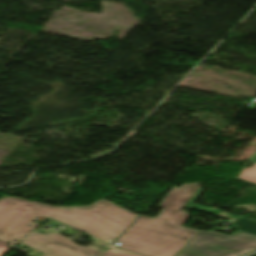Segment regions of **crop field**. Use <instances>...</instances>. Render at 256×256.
<instances>
[{
	"label": "crop field",
	"mask_w": 256,
	"mask_h": 256,
	"mask_svg": "<svg viewBox=\"0 0 256 256\" xmlns=\"http://www.w3.org/2000/svg\"><path fill=\"white\" fill-rule=\"evenodd\" d=\"M5 242V240L0 242V256L9 248Z\"/></svg>",
	"instance_id": "obj_8"
},
{
	"label": "crop field",
	"mask_w": 256,
	"mask_h": 256,
	"mask_svg": "<svg viewBox=\"0 0 256 256\" xmlns=\"http://www.w3.org/2000/svg\"><path fill=\"white\" fill-rule=\"evenodd\" d=\"M251 256H256V254H254V255H251Z\"/></svg>",
	"instance_id": "obj_9"
},
{
	"label": "crop field",
	"mask_w": 256,
	"mask_h": 256,
	"mask_svg": "<svg viewBox=\"0 0 256 256\" xmlns=\"http://www.w3.org/2000/svg\"><path fill=\"white\" fill-rule=\"evenodd\" d=\"M231 227L256 234V220L242 216Z\"/></svg>",
	"instance_id": "obj_5"
},
{
	"label": "crop field",
	"mask_w": 256,
	"mask_h": 256,
	"mask_svg": "<svg viewBox=\"0 0 256 256\" xmlns=\"http://www.w3.org/2000/svg\"><path fill=\"white\" fill-rule=\"evenodd\" d=\"M250 161L255 163L254 166L250 168L242 169L238 178L256 183V150L252 155Z\"/></svg>",
	"instance_id": "obj_6"
},
{
	"label": "crop field",
	"mask_w": 256,
	"mask_h": 256,
	"mask_svg": "<svg viewBox=\"0 0 256 256\" xmlns=\"http://www.w3.org/2000/svg\"><path fill=\"white\" fill-rule=\"evenodd\" d=\"M198 183L173 187L158 206L156 218L139 216L116 240L120 248L146 256H175L199 231L181 226L189 215L182 207L216 215L218 209L193 204L201 195Z\"/></svg>",
	"instance_id": "obj_2"
},
{
	"label": "crop field",
	"mask_w": 256,
	"mask_h": 256,
	"mask_svg": "<svg viewBox=\"0 0 256 256\" xmlns=\"http://www.w3.org/2000/svg\"><path fill=\"white\" fill-rule=\"evenodd\" d=\"M102 256H136L129 253L116 250L115 252H105Z\"/></svg>",
	"instance_id": "obj_7"
},
{
	"label": "crop field",
	"mask_w": 256,
	"mask_h": 256,
	"mask_svg": "<svg viewBox=\"0 0 256 256\" xmlns=\"http://www.w3.org/2000/svg\"><path fill=\"white\" fill-rule=\"evenodd\" d=\"M22 243L45 253L44 256H101L103 254L95 248L79 246L56 232L48 234L33 232L27 235Z\"/></svg>",
	"instance_id": "obj_4"
},
{
	"label": "crop field",
	"mask_w": 256,
	"mask_h": 256,
	"mask_svg": "<svg viewBox=\"0 0 256 256\" xmlns=\"http://www.w3.org/2000/svg\"><path fill=\"white\" fill-rule=\"evenodd\" d=\"M256 251V236L235 230L230 236L199 232L176 256H243Z\"/></svg>",
	"instance_id": "obj_3"
},
{
	"label": "crop field",
	"mask_w": 256,
	"mask_h": 256,
	"mask_svg": "<svg viewBox=\"0 0 256 256\" xmlns=\"http://www.w3.org/2000/svg\"><path fill=\"white\" fill-rule=\"evenodd\" d=\"M36 216L51 217L112 244L138 217L104 200L91 207L52 208L24 200L0 199V238L21 239L34 230Z\"/></svg>",
	"instance_id": "obj_1"
}]
</instances>
